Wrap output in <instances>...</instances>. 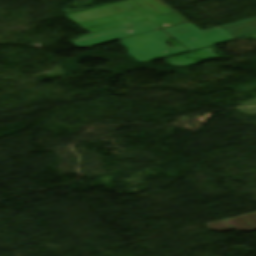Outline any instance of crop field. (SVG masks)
Returning a JSON list of instances; mask_svg holds the SVG:
<instances>
[{"mask_svg":"<svg viewBox=\"0 0 256 256\" xmlns=\"http://www.w3.org/2000/svg\"><path fill=\"white\" fill-rule=\"evenodd\" d=\"M67 16L91 33L145 19L158 28L187 22L160 0H127Z\"/></svg>","mask_w":256,"mask_h":256,"instance_id":"1","label":"crop field"},{"mask_svg":"<svg viewBox=\"0 0 256 256\" xmlns=\"http://www.w3.org/2000/svg\"><path fill=\"white\" fill-rule=\"evenodd\" d=\"M161 30L120 39L127 54L140 63L188 51L185 48H171L164 43L168 39Z\"/></svg>","mask_w":256,"mask_h":256,"instance_id":"2","label":"crop field"},{"mask_svg":"<svg viewBox=\"0 0 256 256\" xmlns=\"http://www.w3.org/2000/svg\"><path fill=\"white\" fill-rule=\"evenodd\" d=\"M163 30L190 50L235 39L220 26L201 31L190 22Z\"/></svg>","mask_w":256,"mask_h":256,"instance_id":"3","label":"crop field"},{"mask_svg":"<svg viewBox=\"0 0 256 256\" xmlns=\"http://www.w3.org/2000/svg\"><path fill=\"white\" fill-rule=\"evenodd\" d=\"M133 26L129 30H122L126 27ZM158 28L155 27L151 22L148 20L136 22L134 24L94 33V34H88L86 36H83L77 40L71 41L73 42L77 47L80 48H88L93 45L113 41L116 39L141 34L153 30H157ZM133 30L131 33H127L128 31Z\"/></svg>","mask_w":256,"mask_h":256,"instance_id":"4","label":"crop field"},{"mask_svg":"<svg viewBox=\"0 0 256 256\" xmlns=\"http://www.w3.org/2000/svg\"><path fill=\"white\" fill-rule=\"evenodd\" d=\"M256 213L227 220V222L232 225L236 231H242L244 230L245 232L256 230ZM211 231H216V232H222L226 230H231L233 229L230 227L228 224H226L224 221L214 223V224H209L206 225Z\"/></svg>","mask_w":256,"mask_h":256,"instance_id":"5","label":"crop field"},{"mask_svg":"<svg viewBox=\"0 0 256 256\" xmlns=\"http://www.w3.org/2000/svg\"><path fill=\"white\" fill-rule=\"evenodd\" d=\"M235 38L256 33V17L221 26Z\"/></svg>","mask_w":256,"mask_h":256,"instance_id":"6","label":"crop field"},{"mask_svg":"<svg viewBox=\"0 0 256 256\" xmlns=\"http://www.w3.org/2000/svg\"><path fill=\"white\" fill-rule=\"evenodd\" d=\"M249 38H254V39H256V36H253V37H249Z\"/></svg>","mask_w":256,"mask_h":256,"instance_id":"7","label":"crop field"}]
</instances>
